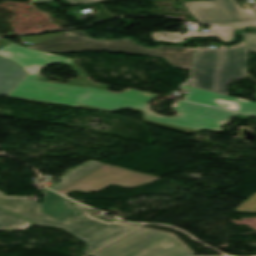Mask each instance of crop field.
I'll return each mask as SVG.
<instances>
[{
	"label": "crop field",
	"instance_id": "obj_23",
	"mask_svg": "<svg viewBox=\"0 0 256 256\" xmlns=\"http://www.w3.org/2000/svg\"><path fill=\"white\" fill-rule=\"evenodd\" d=\"M254 88H256V87H254ZM255 96V98H256V95H254Z\"/></svg>",
	"mask_w": 256,
	"mask_h": 256
},
{
	"label": "crop field",
	"instance_id": "obj_6",
	"mask_svg": "<svg viewBox=\"0 0 256 256\" xmlns=\"http://www.w3.org/2000/svg\"><path fill=\"white\" fill-rule=\"evenodd\" d=\"M158 179L157 177L102 164L97 161H89L65 174L59 179L62 182L50 189L63 194L73 189L83 192H94L110 184L134 187Z\"/></svg>",
	"mask_w": 256,
	"mask_h": 256
},
{
	"label": "crop field",
	"instance_id": "obj_7",
	"mask_svg": "<svg viewBox=\"0 0 256 256\" xmlns=\"http://www.w3.org/2000/svg\"><path fill=\"white\" fill-rule=\"evenodd\" d=\"M174 234L140 227L90 256H191Z\"/></svg>",
	"mask_w": 256,
	"mask_h": 256
},
{
	"label": "crop field",
	"instance_id": "obj_12",
	"mask_svg": "<svg viewBox=\"0 0 256 256\" xmlns=\"http://www.w3.org/2000/svg\"><path fill=\"white\" fill-rule=\"evenodd\" d=\"M26 75L16 63L0 56V95L7 96Z\"/></svg>",
	"mask_w": 256,
	"mask_h": 256
},
{
	"label": "crop field",
	"instance_id": "obj_20",
	"mask_svg": "<svg viewBox=\"0 0 256 256\" xmlns=\"http://www.w3.org/2000/svg\"><path fill=\"white\" fill-rule=\"evenodd\" d=\"M222 54H223V52H222ZM221 60H222V55H221ZM220 65H221V61H220ZM220 69V68H219ZM218 76H219V74H218ZM216 92V91H215Z\"/></svg>",
	"mask_w": 256,
	"mask_h": 256
},
{
	"label": "crop field",
	"instance_id": "obj_11",
	"mask_svg": "<svg viewBox=\"0 0 256 256\" xmlns=\"http://www.w3.org/2000/svg\"><path fill=\"white\" fill-rule=\"evenodd\" d=\"M45 195L42 212L57 219L79 215L77 210L63 196L58 195L50 190H43Z\"/></svg>",
	"mask_w": 256,
	"mask_h": 256
},
{
	"label": "crop field",
	"instance_id": "obj_10",
	"mask_svg": "<svg viewBox=\"0 0 256 256\" xmlns=\"http://www.w3.org/2000/svg\"><path fill=\"white\" fill-rule=\"evenodd\" d=\"M248 26H256V22L249 23V24L233 25V26H210V32L189 31L185 35H180L179 33H166V32H156L152 34L155 41H166V42H173V43H183L184 38L204 37V36H216L226 42H233L234 32L238 28L248 27Z\"/></svg>",
	"mask_w": 256,
	"mask_h": 256
},
{
	"label": "crop field",
	"instance_id": "obj_3",
	"mask_svg": "<svg viewBox=\"0 0 256 256\" xmlns=\"http://www.w3.org/2000/svg\"><path fill=\"white\" fill-rule=\"evenodd\" d=\"M42 204L26 198L0 197V208L34 223H48L60 225L61 228L84 240L87 244L83 253H90L109 241L119 237L137 225L111 223L93 218L89 213L92 209L73 205L80 213L79 216L56 220L41 212Z\"/></svg>",
	"mask_w": 256,
	"mask_h": 256
},
{
	"label": "crop field",
	"instance_id": "obj_8",
	"mask_svg": "<svg viewBox=\"0 0 256 256\" xmlns=\"http://www.w3.org/2000/svg\"><path fill=\"white\" fill-rule=\"evenodd\" d=\"M72 5L106 0H67ZM199 23L227 24L256 19L252 9L242 10L234 0H214L212 2L184 3Z\"/></svg>",
	"mask_w": 256,
	"mask_h": 256
},
{
	"label": "crop field",
	"instance_id": "obj_2",
	"mask_svg": "<svg viewBox=\"0 0 256 256\" xmlns=\"http://www.w3.org/2000/svg\"><path fill=\"white\" fill-rule=\"evenodd\" d=\"M181 111L176 117L161 116L150 110L149 104L87 92L80 98L79 106L106 112L125 108L144 111V122L189 134L191 132L211 130L222 133V125L232 118L234 112L214 109L198 104L180 101Z\"/></svg>",
	"mask_w": 256,
	"mask_h": 256
},
{
	"label": "crop field",
	"instance_id": "obj_14",
	"mask_svg": "<svg viewBox=\"0 0 256 256\" xmlns=\"http://www.w3.org/2000/svg\"><path fill=\"white\" fill-rule=\"evenodd\" d=\"M236 211L256 212V194H253L247 201L239 206Z\"/></svg>",
	"mask_w": 256,
	"mask_h": 256
},
{
	"label": "crop field",
	"instance_id": "obj_15",
	"mask_svg": "<svg viewBox=\"0 0 256 256\" xmlns=\"http://www.w3.org/2000/svg\"><path fill=\"white\" fill-rule=\"evenodd\" d=\"M239 34L244 38L252 52L256 53V31L251 34L245 32H240Z\"/></svg>",
	"mask_w": 256,
	"mask_h": 256
},
{
	"label": "crop field",
	"instance_id": "obj_16",
	"mask_svg": "<svg viewBox=\"0 0 256 256\" xmlns=\"http://www.w3.org/2000/svg\"><path fill=\"white\" fill-rule=\"evenodd\" d=\"M65 33V32H63ZM62 34V33H59ZM59 34H50V35H42V36H30V37H21L23 41H36V42H40L43 41L45 39L57 36Z\"/></svg>",
	"mask_w": 256,
	"mask_h": 256
},
{
	"label": "crop field",
	"instance_id": "obj_13",
	"mask_svg": "<svg viewBox=\"0 0 256 256\" xmlns=\"http://www.w3.org/2000/svg\"><path fill=\"white\" fill-rule=\"evenodd\" d=\"M30 225L29 221L0 210V230H26Z\"/></svg>",
	"mask_w": 256,
	"mask_h": 256
},
{
	"label": "crop field",
	"instance_id": "obj_17",
	"mask_svg": "<svg viewBox=\"0 0 256 256\" xmlns=\"http://www.w3.org/2000/svg\"><path fill=\"white\" fill-rule=\"evenodd\" d=\"M235 118H239V119H244V120H247L248 118H250L249 116H244V115H240V114H237L236 116H234Z\"/></svg>",
	"mask_w": 256,
	"mask_h": 256
},
{
	"label": "crop field",
	"instance_id": "obj_19",
	"mask_svg": "<svg viewBox=\"0 0 256 256\" xmlns=\"http://www.w3.org/2000/svg\"><path fill=\"white\" fill-rule=\"evenodd\" d=\"M38 225H46V226H54V227H60V226H56V225H48V224H41V223H36Z\"/></svg>",
	"mask_w": 256,
	"mask_h": 256
},
{
	"label": "crop field",
	"instance_id": "obj_9",
	"mask_svg": "<svg viewBox=\"0 0 256 256\" xmlns=\"http://www.w3.org/2000/svg\"><path fill=\"white\" fill-rule=\"evenodd\" d=\"M184 89L191 90V94L185 98L186 101L256 116V102L233 98L189 86Z\"/></svg>",
	"mask_w": 256,
	"mask_h": 256
},
{
	"label": "crop field",
	"instance_id": "obj_18",
	"mask_svg": "<svg viewBox=\"0 0 256 256\" xmlns=\"http://www.w3.org/2000/svg\"><path fill=\"white\" fill-rule=\"evenodd\" d=\"M47 1H53V0H31V4L40 3V2H47Z\"/></svg>",
	"mask_w": 256,
	"mask_h": 256
},
{
	"label": "crop field",
	"instance_id": "obj_21",
	"mask_svg": "<svg viewBox=\"0 0 256 256\" xmlns=\"http://www.w3.org/2000/svg\"><path fill=\"white\" fill-rule=\"evenodd\" d=\"M245 42H240V43H238V44H244ZM238 44H236V45H238Z\"/></svg>",
	"mask_w": 256,
	"mask_h": 256
},
{
	"label": "crop field",
	"instance_id": "obj_1",
	"mask_svg": "<svg viewBox=\"0 0 256 256\" xmlns=\"http://www.w3.org/2000/svg\"><path fill=\"white\" fill-rule=\"evenodd\" d=\"M0 40L9 44L0 50V55L13 60L28 72V75L8 95L9 97L77 107L80 96L89 90L144 103L158 96L132 89H126L120 94L106 92L104 90L108 86L87 79V75L72 62L71 58L28 49L2 38ZM51 63L67 64L81 77L69 80L68 84H62L50 82L45 76L38 75L43 66Z\"/></svg>",
	"mask_w": 256,
	"mask_h": 256
},
{
	"label": "crop field",
	"instance_id": "obj_22",
	"mask_svg": "<svg viewBox=\"0 0 256 256\" xmlns=\"http://www.w3.org/2000/svg\"><path fill=\"white\" fill-rule=\"evenodd\" d=\"M0 195H6V194L0 192Z\"/></svg>",
	"mask_w": 256,
	"mask_h": 256
},
{
	"label": "crop field",
	"instance_id": "obj_4",
	"mask_svg": "<svg viewBox=\"0 0 256 256\" xmlns=\"http://www.w3.org/2000/svg\"><path fill=\"white\" fill-rule=\"evenodd\" d=\"M28 48L46 52L92 51L105 50L109 52L159 56L163 57L175 68L190 70L194 48L157 46L148 49L133 42L129 38L121 40H93L82 31H72L46 41L34 44Z\"/></svg>",
	"mask_w": 256,
	"mask_h": 256
},
{
	"label": "crop field",
	"instance_id": "obj_5",
	"mask_svg": "<svg viewBox=\"0 0 256 256\" xmlns=\"http://www.w3.org/2000/svg\"><path fill=\"white\" fill-rule=\"evenodd\" d=\"M221 51H224L217 92L227 93L228 85L243 79L249 48L247 44L232 46L229 50L200 48L196 50L192 80L189 86L215 91Z\"/></svg>",
	"mask_w": 256,
	"mask_h": 256
}]
</instances>
